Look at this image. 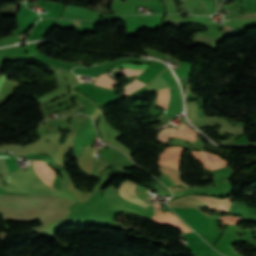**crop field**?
Wrapping results in <instances>:
<instances>
[{"label": "crop field", "instance_id": "crop-field-11", "mask_svg": "<svg viewBox=\"0 0 256 256\" xmlns=\"http://www.w3.org/2000/svg\"><path fill=\"white\" fill-rule=\"evenodd\" d=\"M114 83V80L110 78L108 74L101 75L96 78V85L105 86L111 88Z\"/></svg>", "mask_w": 256, "mask_h": 256}, {"label": "crop field", "instance_id": "crop-field-18", "mask_svg": "<svg viewBox=\"0 0 256 256\" xmlns=\"http://www.w3.org/2000/svg\"><path fill=\"white\" fill-rule=\"evenodd\" d=\"M172 9V8H171ZM169 10H170V8H169ZM170 12H171V10H170Z\"/></svg>", "mask_w": 256, "mask_h": 256}, {"label": "crop field", "instance_id": "crop-field-12", "mask_svg": "<svg viewBox=\"0 0 256 256\" xmlns=\"http://www.w3.org/2000/svg\"><path fill=\"white\" fill-rule=\"evenodd\" d=\"M183 125H184V124H182L181 126H183ZM181 126H179V128H180ZM172 129H173V128H169V129H165V130L159 132L157 141H160V142H162V143H166V141L168 140L169 135H170Z\"/></svg>", "mask_w": 256, "mask_h": 256}, {"label": "crop field", "instance_id": "crop-field-8", "mask_svg": "<svg viewBox=\"0 0 256 256\" xmlns=\"http://www.w3.org/2000/svg\"><path fill=\"white\" fill-rule=\"evenodd\" d=\"M58 22L63 23L69 27L74 26L79 32L93 31V27L97 22H84V21H68L59 20Z\"/></svg>", "mask_w": 256, "mask_h": 256}, {"label": "crop field", "instance_id": "crop-field-2", "mask_svg": "<svg viewBox=\"0 0 256 256\" xmlns=\"http://www.w3.org/2000/svg\"><path fill=\"white\" fill-rule=\"evenodd\" d=\"M136 187H137V185L133 184L132 182H130L128 180L125 181L120 186L118 195H116V197L114 198V201L125 206V207H128L132 210H138L144 214L153 216L155 213V210L153 209V207L149 203L146 204L147 203L146 201L136 197V195L134 194ZM132 194H134V195H132ZM129 195H132V196L127 197ZM125 197H127V198H125ZM123 198H125L127 201H129L131 203H134V204H137L140 206H142L144 204H146V205L140 207V206H137V205L127 202Z\"/></svg>", "mask_w": 256, "mask_h": 256}, {"label": "crop field", "instance_id": "crop-field-9", "mask_svg": "<svg viewBox=\"0 0 256 256\" xmlns=\"http://www.w3.org/2000/svg\"><path fill=\"white\" fill-rule=\"evenodd\" d=\"M16 159L10 158H0V168L3 174H6L10 171L17 169V165L15 164Z\"/></svg>", "mask_w": 256, "mask_h": 256}, {"label": "crop field", "instance_id": "crop-field-10", "mask_svg": "<svg viewBox=\"0 0 256 256\" xmlns=\"http://www.w3.org/2000/svg\"><path fill=\"white\" fill-rule=\"evenodd\" d=\"M169 96V89L158 91V98L154 101V104L162 106L166 109Z\"/></svg>", "mask_w": 256, "mask_h": 256}, {"label": "crop field", "instance_id": "crop-field-3", "mask_svg": "<svg viewBox=\"0 0 256 256\" xmlns=\"http://www.w3.org/2000/svg\"><path fill=\"white\" fill-rule=\"evenodd\" d=\"M149 65L146 64H124L118 67H115L116 69H119L120 67L122 68H134V69H145L146 67H148ZM113 69V70H116ZM112 72V69H105V68H97V67H92V68H76L73 70L74 73H82V74H86V75H91L94 77H97L96 75H101L104 74L106 72ZM120 71V70H117ZM114 71L116 73H120ZM143 70H133V69H123L122 73L127 74V75H138L140 72H142Z\"/></svg>", "mask_w": 256, "mask_h": 256}, {"label": "crop field", "instance_id": "crop-field-15", "mask_svg": "<svg viewBox=\"0 0 256 256\" xmlns=\"http://www.w3.org/2000/svg\"><path fill=\"white\" fill-rule=\"evenodd\" d=\"M169 211H171L169 208H168V206L167 205H164ZM172 212V211H171ZM173 213V212H172Z\"/></svg>", "mask_w": 256, "mask_h": 256}, {"label": "crop field", "instance_id": "crop-field-1", "mask_svg": "<svg viewBox=\"0 0 256 256\" xmlns=\"http://www.w3.org/2000/svg\"><path fill=\"white\" fill-rule=\"evenodd\" d=\"M183 148L181 147H170L163 150V152L158 156L160 161L158 165H164L177 169L178 161L181 159V153ZM162 170V175L159 178L167 187L170 186H184L179 179L178 170L160 167Z\"/></svg>", "mask_w": 256, "mask_h": 256}, {"label": "crop field", "instance_id": "crop-field-17", "mask_svg": "<svg viewBox=\"0 0 256 256\" xmlns=\"http://www.w3.org/2000/svg\"><path fill=\"white\" fill-rule=\"evenodd\" d=\"M225 27H227V28H229V29H231V30H232V28H230V27H228V26H226V25H225Z\"/></svg>", "mask_w": 256, "mask_h": 256}, {"label": "crop field", "instance_id": "crop-field-14", "mask_svg": "<svg viewBox=\"0 0 256 256\" xmlns=\"http://www.w3.org/2000/svg\"><path fill=\"white\" fill-rule=\"evenodd\" d=\"M153 205H155V206H157V207L160 208V204H159V203H155V204H153ZM157 207H155V208H157ZM159 208H157V210H158V213H157V214L163 213V212H161V211L159 210Z\"/></svg>", "mask_w": 256, "mask_h": 256}, {"label": "crop field", "instance_id": "crop-field-6", "mask_svg": "<svg viewBox=\"0 0 256 256\" xmlns=\"http://www.w3.org/2000/svg\"><path fill=\"white\" fill-rule=\"evenodd\" d=\"M244 122L245 121L228 123L223 118H217L215 116L211 117L212 127H214L215 124H220V125H222L220 130L221 131H225L228 134H240V133H243ZM230 124H237V126L232 127Z\"/></svg>", "mask_w": 256, "mask_h": 256}, {"label": "crop field", "instance_id": "crop-field-4", "mask_svg": "<svg viewBox=\"0 0 256 256\" xmlns=\"http://www.w3.org/2000/svg\"><path fill=\"white\" fill-rule=\"evenodd\" d=\"M192 197L204 203L205 205H208L209 208H215L216 210H219V211L234 212L236 211V208H238L231 203L230 201L231 198L221 200V199H215V198H209V197H203V196H192Z\"/></svg>", "mask_w": 256, "mask_h": 256}, {"label": "crop field", "instance_id": "crop-field-13", "mask_svg": "<svg viewBox=\"0 0 256 256\" xmlns=\"http://www.w3.org/2000/svg\"><path fill=\"white\" fill-rule=\"evenodd\" d=\"M219 219L223 220L222 224H235L241 219L238 217L228 216V217H220Z\"/></svg>", "mask_w": 256, "mask_h": 256}, {"label": "crop field", "instance_id": "crop-field-16", "mask_svg": "<svg viewBox=\"0 0 256 256\" xmlns=\"http://www.w3.org/2000/svg\"><path fill=\"white\" fill-rule=\"evenodd\" d=\"M26 35H24L23 37H20V40L24 39Z\"/></svg>", "mask_w": 256, "mask_h": 256}, {"label": "crop field", "instance_id": "crop-field-7", "mask_svg": "<svg viewBox=\"0 0 256 256\" xmlns=\"http://www.w3.org/2000/svg\"><path fill=\"white\" fill-rule=\"evenodd\" d=\"M32 161V160H31ZM32 162H44V161H32ZM36 173L46 182L49 186L52 185V179L54 177V170L48 168L45 163H32Z\"/></svg>", "mask_w": 256, "mask_h": 256}, {"label": "crop field", "instance_id": "crop-field-5", "mask_svg": "<svg viewBox=\"0 0 256 256\" xmlns=\"http://www.w3.org/2000/svg\"><path fill=\"white\" fill-rule=\"evenodd\" d=\"M195 158L204 164V168L212 170L226 166L227 162L219 158V156L209 154L205 151H192Z\"/></svg>", "mask_w": 256, "mask_h": 256}]
</instances>
